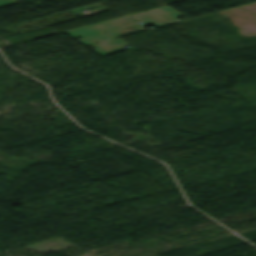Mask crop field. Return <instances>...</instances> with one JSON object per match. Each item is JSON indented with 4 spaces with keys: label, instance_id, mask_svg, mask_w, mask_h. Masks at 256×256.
Wrapping results in <instances>:
<instances>
[{
    "label": "crop field",
    "instance_id": "1",
    "mask_svg": "<svg viewBox=\"0 0 256 256\" xmlns=\"http://www.w3.org/2000/svg\"><path fill=\"white\" fill-rule=\"evenodd\" d=\"M177 16H181V14H179L178 12L166 6V7L66 31L65 33L71 35L73 38L77 36L87 37L81 40H77L76 38L75 39L80 43H82L83 45L89 46L92 44L116 39L120 35L127 34V31L129 30H131L132 32H136L134 31L136 29L144 30V27L150 24L156 27H159L166 24H173V23L180 22L175 19V17ZM124 23L126 24L122 25ZM132 27H134L135 29L132 30L131 29ZM125 28H128V29L122 30ZM140 30H137V31H140ZM123 32H126V33L122 34Z\"/></svg>",
    "mask_w": 256,
    "mask_h": 256
},
{
    "label": "crop field",
    "instance_id": "2",
    "mask_svg": "<svg viewBox=\"0 0 256 256\" xmlns=\"http://www.w3.org/2000/svg\"><path fill=\"white\" fill-rule=\"evenodd\" d=\"M125 45H128V44L121 39H116V40L92 45L91 48L95 49L94 52L102 56H106L124 49Z\"/></svg>",
    "mask_w": 256,
    "mask_h": 256
},
{
    "label": "crop field",
    "instance_id": "3",
    "mask_svg": "<svg viewBox=\"0 0 256 256\" xmlns=\"http://www.w3.org/2000/svg\"><path fill=\"white\" fill-rule=\"evenodd\" d=\"M14 3H16V0H0V7Z\"/></svg>",
    "mask_w": 256,
    "mask_h": 256
}]
</instances>
